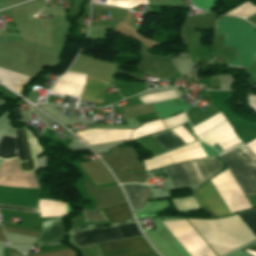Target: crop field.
<instances>
[{"instance_id":"733c2abd","label":"crop field","mask_w":256,"mask_h":256,"mask_svg":"<svg viewBox=\"0 0 256 256\" xmlns=\"http://www.w3.org/2000/svg\"><path fill=\"white\" fill-rule=\"evenodd\" d=\"M127 190L135 208L143 207L144 204L151 197L152 193L149 187L137 186V185H127L124 186Z\"/></svg>"},{"instance_id":"412701ff","label":"crop field","mask_w":256,"mask_h":256,"mask_svg":"<svg viewBox=\"0 0 256 256\" xmlns=\"http://www.w3.org/2000/svg\"><path fill=\"white\" fill-rule=\"evenodd\" d=\"M203 180L213 176L221 169V163L216 157L194 160ZM193 161L166 167V171L174 188L203 182Z\"/></svg>"},{"instance_id":"8a807250","label":"crop field","mask_w":256,"mask_h":256,"mask_svg":"<svg viewBox=\"0 0 256 256\" xmlns=\"http://www.w3.org/2000/svg\"><path fill=\"white\" fill-rule=\"evenodd\" d=\"M240 217L256 237V211L240 214ZM240 217L237 215L230 218L215 220L235 249L255 240V237ZM189 222L194 226L217 256H222L234 250V247L214 220H189Z\"/></svg>"},{"instance_id":"34b2d1b8","label":"crop field","mask_w":256,"mask_h":256,"mask_svg":"<svg viewBox=\"0 0 256 256\" xmlns=\"http://www.w3.org/2000/svg\"><path fill=\"white\" fill-rule=\"evenodd\" d=\"M230 168L246 195L256 193V158L244 144L218 154Z\"/></svg>"},{"instance_id":"a9b5d70f","label":"crop field","mask_w":256,"mask_h":256,"mask_svg":"<svg viewBox=\"0 0 256 256\" xmlns=\"http://www.w3.org/2000/svg\"><path fill=\"white\" fill-rule=\"evenodd\" d=\"M175 95H176V93L174 92V90H171V91H165V92H159V93H153V94H147V95L139 96V99H140L141 102H144V101H149V100H154V99H159V98H165V97H170V96H175ZM176 97H178V96L165 98V99H160V100L149 101V102H144L143 104L155 103V102L168 100V99H172V98H176Z\"/></svg>"},{"instance_id":"d8731c3e","label":"crop field","mask_w":256,"mask_h":256,"mask_svg":"<svg viewBox=\"0 0 256 256\" xmlns=\"http://www.w3.org/2000/svg\"><path fill=\"white\" fill-rule=\"evenodd\" d=\"M193 196L200 208L206 210L211 216L231 214L210 180L199 187Z\"/></svg>"},{"instance_id":"28ad6ade","label":"crop field","mask_w":256,"mask_h":256,"mask_svg":"<svg viewBox=\"0 0 256 256\" xmlns=\"http://www.w3.org/2000/svg\"><path fill=\"white\" fill-rule=\"evenodd\" d=\"M132 130H90L78 132L89 145L104 144L118 140L130 139Z\"/></svg>"},{"instance_id":"bd1437ed","label":"crop field","mask_w":256,"mask_h":256,"mask_svg":"<svg viewBox=\"0 0 256 256\" xmlns=\"http://www.w3.org/2000/svg\"><path fill=\"white\" fill-rule=\"evenodd\" d=\"M8 254L9 256H23L22 254L16 252L14 249L8 248Z\"/></svg>"},{"instance_id":"4a817a6b","label":"crop field","mask_w":256,"mask_h":256,"mask_svg":"<svg viewBox=\"0 0 256 256\" xmlns=\"http://www.w3.org/2000/svg\"><path fill=\"white\" fill-rule=\"evenodd\" d=\"M112 224L125 222L132 218L127 203L102 209Z\"/></svg>"},{"instance_id":"d1516ede","label":"crop field","mask_w":256,"mask_h":256,"mask_svg":"<svg viewBox=\"0 0 256 256\" xmlns=\"http://www.w3.org/2000/svg\"><path fill=\"white\" fill-rule=\"evenodd\" d=\"M86 76L85 74L67 71L51 91L79 96Z\"/></svg>"},{"instance_id":"dafd665d","label":"crop field","mask_w":256,"mask_h":256,"mask_svg":"<svg viewBox=\"0 0 256 256\" xmlns=\"http://www.w3.org/2000/svg\"><path fill=\"white\" fill-rule=\"evenodd\" d=\"M226 120L225 117L222 115V113H218L215 116H213L212 118L208 119L207 121L193 127V130L197 135H199L200 133L218 125L219 123H221L222 121Z\"/></svg>"},{"instance_id":"00972430","label":"crop field","mask_w":256,"mask_h":256,"mask_svg":"<svg viewBox=\"0 0 256 256\" xmlns=\"http://www.w3.org/2000/svg\"><path fill=\"white\" fill-rule=\"evenodd\" d=\"M204 156H205L204 152L202 151L201 147H199V148L192 149L180 154L170 156V159L173 162V164H175L181 161L198 158V157H204Z\"/></svg>"},{"instance_id":"eef30255","label":"crop field","mask_w":256,"mask_h":256,"mask_svg":"<svg viewBox=\"0 0 256 256\" xmlns=\"http://www.w3.org/2000/svg\"><path fill=\"white\" fill-rule=\"evenodd\" d=\"M185 122H187V119H186L184 113L180 114L178 116L163 120V123H164L166 129L176 127V126L181 125Z\"/></svg>"},{"instance_id":"92a150f3","label":"crop field","mask_w":256,"mask_h":256,"mask_svg":"<svg viewBox=\"0 0 256 256\" xmlns=\"http://www.w3.org/2000/svg\"><path fill=\"white\" fill-rule=\"evenodd\" d=\"M161 130H164V127L161 124L160 120H157L154 122L146 123L142 125V127L136 130H133L131 136H132V139H134V138H138V137L148 135L154 132H158Z\"/></svg>"},{"instance_id":"4177f3b9","label":"crop field","mask_w":256,"mask_h":256,"mask_svg":"<svg viewBox=\"0 0 256 256\" xmlns=\"http://www.w3.org/2000/svg\"><path fill=\"white\" fill-rule=\"evenodd\" d=\"M256 6V5H255ZM248 1L238 6L236 9L226 13V15L246 17L256 12V7Z\"/></svg>"},{"instance_id":"d3111659","label":"crop field","mask_w":256,"mask_h":256,"mask_svg":"<svg viewBox=\"0 0 256 256\" xmlns=\"http://www.w3.org/2000/svg\"><path fill=\"white\" fill-rule=\"evenodd\" d=\"M1 209L14 210V211H24V212H37L39 213V208H29V207H15V206H4L0 205Z\"/></svg>"},{"instance_id":"22f410ed","label":"crop field","mask_w":256,"mask_h":256,"mask_svg":"<svg viewBox=\"0 0 256 256\" xmlns=\"http://www.w3.org/2000/svg\"><path fill=\"white\" fill-rule=\"evenodd\" d=\"M107 86L108 82L96 79L88 75L80 101L101 103Z\"/></svg>"},{"instance_id":"cbeb9de0","label":"crop field","mask_w":256,"mask_h":256,"mask_svg":"<svg viewBox=\"0 0 256 256\" xmlns=\"http://www.w3.org/2000/svg\"><path fill=\"white\" fill-rule=\"evenodd\" d=\"M95 186L114 182L106 168L99 160L79 164Z\"/></svg>"},{"instance_id":"ae1a2a85","label":"crop field","mask_w":256,"mask_h":256,"mask_svg":"<svg viewBox=\"0 0 256 256\" xmlns=\"http://www.w3.org/2000/svg\"><path fill=\"white\" fill-rule=\"evenodd\" d=\"M87 222L107 221L101 211H83Z\"/></svg>"},{"instance_id":"e52e79f7","label":"crop field","mask_w":256,"mask_h":256,"mask_svg":"<svg viewBox=\"0 0 256 256\" xmlns=\"http://www.w3.org/2000/svg\"><path fill=\"white\" fill-rule=\"evenodd\" d=\"M102 256H149L156 252L143 236L98 245Z\"/></svg>"},{"instance_id":"5142ce71","label":"crop field","mask_w":256,"mask_h":256,"mask_svg":"<svg viewBox=\"0 0 256 256\" xmlns=\"http://www.w3.org/2000/svg\"><path fill=\"white\" fill-rule=\"evenodd\" d=\"M42 224L44 229L37 243L58 240L65 233L62 228V218H53V219L45 220V221H42Z\"/></svg>"},{"instance_id":"730fd06b","label":"crop field","mask_w":256,"mask_h":256,"mask_svg":"<svg viewBox=\"0 0 256 256\" xmlns=\"http://www.w3.org/2000/svg\"><path fill=\"white\" fill-rule=\"evenodd\" d=\"M105 4L130 9L148 3L147 0H106Z\"/></svg>"},{"instance_id":"bc2a9ffb","label":"crop field","mask_w":256,"mask_h":256,"mask_svg":"<svg viewBox=\"0 0 256 256\" xmlns=\"http://www.w3.org/2000/svg\"><path fill=\"white\" fill-rule=\"evenodd\" d=\"M153 136L167 151L186 145V143L180 137H178L171 129L159 132L157 134H154Z\"/></svg>"},{"instance_id":"d9b57169","label":"crop field","mask_w":256,"mask_h":256,"mask_svg":"<svg viewBox=\"0 0 256 256\" xmlns=\"http://www.w3.org/2000/svg\"><path fill=\"white\" fill-rule=\"evenodd\" d=\"M0 80L12 88L14 91L20 93L22 86L32 80V77L21 75L0 68Z\"/></svg>"},{"instance_id":"1d83c4d3","label":"crop field","mask_w":256,"mask_h":256,"mask_svg":"<svg viewBox=\"0 0 256 256\" xmlns=\"http://www.w3.org/2000/svg\"><path fill=\"white\" fill-rule=\"evenodd\" d=\"M247 250H252V251H256V243L252 244L251 246L245 248Z\"/></svg>"},{"instance_id":"3316defc","label":"crop field","mask_w":256,"mask_h":256,"mask_svg":"<svg viewBox=\"0 0 256 256\" xmlns=\"http://www.w3.org/2000/svg\"><path fill=\"white\" fill-rule=\"evenodd\" d=\"M16 137L3 135L0 140V159H18V162H25L26 156L19 130L15 131Z\"/></svg>"},{"instance_id":"750c4746","label":"crop field","mask_w":256,"mask_h":256,"mask_svg":"<svg viewBox=\"0 0 256 256\" xmlns=\"http://www.w3.org/2000/svg\"><path fill=\"white\" fill-rule=\"evenodd\" d=\"M249 106L256 111V96H248Z\"/></svg>"},{"instance_id":"f4fd0767","label":"crop field","mask_w":256,"mask_h":256,"mask_svg":"<svg viewBox=\"0 0 256 256\" xmlns=\"http://www.w3.org/2000/svg\"><path fill=\"white\" fill-rule=\"evenodd\" d=\"M140 235L141 233L134 222L106 229L93 228L73 233L70 235V240L73 246L80 248Z\"/></svg>"},{"instance_id":"ac0d7876","label":"crop field","mask_w":256,"mask_h":256,"mask_svg":"<svg viewBox=\"0 0 256 256\" xmlns=\"http://www.w3.org/2000/svg\"><path fill=\"white\" fill-rule=\"evenodd\" d=\"M216 33L224 35L222 46L231 47L239 56L227 66L246 69L256 60V28L233 17L220 16Z\"/></svg>"},{"instance_id":"214f88e0","label":"crop field","mask_w":256,"mask_h":256,"mask_svg":"<svg viewBox=\"0 0 256 256\" xmlns=\"http://www.w3.org/2000/svg\"><path fill=\"white\" fill-rule=\"evenodd\" d=\"M20 131H21V135H22V139H23V143H24V147H25L28 162L21 163L19 165H20L23 173H25V172H28V171H31V170H36V164H35L33 154H32L28 139H27L25 129L23 128Z\"/></svg>"},{"instance_id":"dd49c442","label":"crop field","mask_w":256,"mask_h":256,"mask_svg":"<svg viewBox=\"0 0 256 256\" xmlns=\"http://www.w3.org/2000/svg\"><path fill=\"white\" fill-rule=\"evenodd\" d=\"M164 224L191 256H215L186 220Z\"/></svg>"},{"instance_id":"5a996713","label":"crop field","mask_w":256,"mask_h":256,"mask_svg":"<svg viewBox=\"0 0 256 256\" xmlns=\"http://www.w3.org/2000/svg\"><path fill=\"white\" fill-rule=\"evenodd\" d=\"M197 137L211 146L218 144L222 151L241 142L228 120Z\"/></svg>"}]
</instances>
